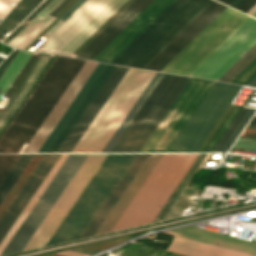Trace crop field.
I'll return each mask as SVG.
<instances>
[{
	"mask_svg": "<svg viewBox=\"0 0 256 256\" xmlns=\"http://www.w3.org/2000/svg\"><path fill=\"white\" fill-rule=\"evenodd\" d=\"M247 111H248V109H246V108H243L241 110V112L238 114V116L236 117L234 122L231 124V126L229 127V129L227 130L225 135L222 137V139L220 140L218 145L215 147L213 152H220V150L222 149V147L224 146L226 141L229 139V137L231 136V134L233 133V131L235 130V128L237 127V125L239 124V122L244 117V115L246 114Z\"/></svg>",
	"mask_w": 256,
	"mask_h": 256,
	"instance_id": "crop-field-33",
	"label": "crop field"
},
{
	"mask_svg": "<svg viewBox=\"0 0 256 256\" xmlns=\"http://www.w3.org/2000/svg\"><path fill=\"white\" fill-rule=\"evenodd\" d=\"M251 122L256 123V117H253V119L251 120Z\"/></svg>",
	"mask_w": 256,
	"mask_h": 256,
	"instance_id": "crop-field-49",
	"label": "crop field"
},
{
	"mask_svg": "<svg viewBox=\"0 0 256 256\" xmlns=\"http://www.w3.org/2000/svg\"><path fill=\"white\" fill-rule=\"evenodd\" d=\"M252 16L256 17V11L252 14Z\"/></svg>",
	"mask_w": 256,
	"mask_h": 256,
	"instance_id": "crop-field-51",
	"label": "crop field"
},
{
	"mask_svg": "<svg viewBox=\"0 0 256 256\" xmlns=\"http://www.w3.org/2000/svg\"><path fill=\"white\" fill-rule=\"evenodd\" d=\"M174 0H154L93 60L110 63L150 22Z\"/></svg>",
	"mask_w": 256,
	"mask_h": 256,
	"instance_id": "crop-field-17",
	"label": "crop field"
},
{
	"mask_svg": "<svg viewBox=\"0 0 256 256\" xmlns=\"http://www.w3.org/2000/svg\"><path fill=\"white\" fill-rule=\"evenodd\" d=\"M256 10V5L248 12V14H252Z\"/></svg>",
	"mask_w": 256,
	"mask_h": 256,
	"instance_id": "crop-field-47",
	"label": "crop field"
},
{
	"mask_svg": "<svg viewBox=\"0 0 256 256\" xmlns=\"http://www.w3.org/2000/svg\"><path fill=\"white\" fill-rule=\"evenodd\" d=\"M241 108L242 107L234 106V108L232 109L228 117L225 119V121L223 122V124L221 125V127L219 128L215 136L213 137V139L210 141V143L208 144L204 152H212L214 147L217 145V143L219 142V140L221 139L225 131L228 129V127L236 117V115L241 110Z\"/></svg>",
	"mask_w": 256,
	"mask_h": 256,
	"instance_id": "crop-field-31",
	"label": "crop field"
},
{
	"mask_svg": "<svg viewBox=\"0 0 256 256\" xmlns=\"http://www.w3.org/2000/svg\"><path fill=\"white\" fill-rule=\"evenodd\" d=\"M34 154H21L12 169L9 171L3 182L0 184V203L7 195L13 184L23 172Z\"/></svg>",
	"mask_w": 256,
	"mask_h": 256,
	"instance_id": "crop-field-28",
	"label": "crop field"
},
{
	"mask_svg": "<svg viewBox=\"0 0 256 256\" xmlns=\"http://www.w3.org/2000/svg\"><path fill=\"white\" fill-rule=\"evenodd\" d=\"M212 0H175L111 63L144 68Z\"/></svg>",
	"mask_w": 256,
	"mask_h": 256,
	"instance_id": "crop-field-4",
	"label": "crop field"
},
{
	"mask_svg": "<svg viewBox=\"0 0 256 256\" xmlns=\"http://www.w3.org/2000/svg\"><path fill=\"white\" fill-rule=\"evenodd\" d=\"M67 156H68V154H61V156L59 157V159L57 160L55 165L52 167V169L50 170V172L48 173L46 178L43 180V182L41 183V185L39 186V188L37 189V191L35 192L33 197L30 199V201L28 202V204L26 205V207L24 208L22 213L19 215V217L17 218V220L15 221V223L13 224V226L11 227L9 232L6 234V236L0 243V253L4 249V247L6 246V244L12 237V235L15 233V231L17 230V228L19 227L21 222L24 220V218L26 217V215L28 214V212L30 211L32 206L35 204L37 199L40 197V195L42 194V192L44 191L46 186L49 184V182L51 181V179L53 178V176L55 175V173L57 172V170L59 169V167L64 162V160L66 159Z\"/></svg>",
	"mask_w": 256,
	"mask_h": 256,
	"instance_id": "crop-field-26",
	"label": "crop field"
},
{
	"mask_svg": "<svg viewBox=\"0 0 256 256\" xmlns=\"http://www.w3.org/2000/svg\"><path fill=\"white\" fill-rule=\"evenodd\" d=\"M128 68L116 66L57 152H71Z\"/></svg>",
	"mask_w": 256,
	"mask_h": 256,
	"instance_id": "crop-field-18",
	"label": "crop field"
},
{
	"mask_svg": "<svg viewBox=\"0 0 256 256\" xmlns=\"http://www.w3.org/2000/svg\"><path fill=\"white\" fill-rule=\"evenodd\" d=\"M84 1L86 0H77L69 9H67L59 19L65 21L69 15H71Z\"/></svg>",
	"mask_w": 256,
	"mask_h": 256,
	"instance_id": "crop-field-38",
	"label": "crop field"
},
{
	"mask_svg": "<svg viewBox=\"0 0 256 256\" xmlns=\"http://www.w3.org/2000/svg\"><path fill=\"white\" fill-rule=\"evenodd\" d=\"M255 4L256 0H243L236 9L247 13Z\"/></svg>",
	"mask_w": 256,
	"mask_h": 256,
	"instance_id": "crop-field-39",
	"label": "crop field"
},
{
	"mask_svg": "<svg viewBox=\"0 0 256 256\" xmlns=\"http://www.w3.org/2000/svg\"><path fill=\"white\" fill-rule=\"evenodd\" d=\"M248 126L256 127V124H254V123H249V125H248Z\"/></svg>",
	"mask_w": 256,
	"mask_h": 256,
	"instance_id": "crop-field-48",
	"label": "crop field"
},
{
	"mask_svg": "<svg viewBox=\"0 0 256 256\" xmlns=\"http://www.w3.org/2000/svg\"><path fill=\"white\" fill-rule=\"evenodd\" d=\"M106 64L98 63L96 68L93 70L89 78L86 80L82 88L79 90L75 98L72 100L68 108L65 110L61 118L58 120L54 128L51 130L47 138L44 140L37 152H46L48 147L51 145L55 137L58 135L62 127L65 125L71 114L74 112L78 104L81 102L87 91L90 89L94 81L97 79L101 71L104 69ZM115 68L114 65L107 64L105 69L102 71L98 79L95 81L91 89L88 91L82 102L79 104L75 112L72 114L66 125L63 127L59 135L56 137L52 145L49 147L47 152H56L63 140L66 138L70 130L73 128L77 120L80 118L84 110L87 108L91 100L94 98L98 90L101 88L105 80L108 78L112 70Z\"/></svg>",
	"mask_w": 256,
	"mask_h": 256,
	"instance_id": "crop-field-13",
	"label": "crop field"
},
{
	"mask_svg": "<svg viewBox=\"0 0 256 256\" xmlns=\"http://www.w3.org/2000/svg\"><path fill=\"white\" fill-rule=\"evenodd\" d=\"M13 1L16 3L18 0H0V18L1 19L12 8V6L9 3Z\"/></svg>",
	"mask_w": 256,
	"mask_h": 256,
	"instance_id": "crop-field-37",
	"label": "crop field"
},
{
	"mask_svg": "<svg viewBox=\"0 0 256 256\" xmlns=\"http://www.w3.org/2000/svg\"><path fill=\"white\" fill-rule=\"evenodd\" d=\"M247 18L227 7L161 71L189 75Z\"/></svg>",
	"mask_w": 256,
	"mask_h": 256,
	"instance_id": "crop-field-10",
	"label": "crop field"
},
{
	"mask_svg": "<svg viewBox=\"0 0 256 256\" xmlns=\"http://www.w3.org/2000/svg\"><path fill=\"white\" fill-rule=\"evenodd\" d=\"M70 0H63L49 15H52V16H54L63 6H65L68 2H69ZM64 8V7H63ZM62 8V9H63ZM61 9V10H62ZM60 10V11H61ZM59 11V12H60ZM58 12V13H59Z\"/></svg>",
	"mask_w": 256,
	"mask_h": 256,
	"instance_id": "crop-field-41",
	"label": "crop field"
},
{
	"mask_svg": "<svg viewBox=\"0 0 256 256\" xmlns=\"http://www.w3.org/2000/svg\"><path fill=\"white\" fill-rule=\"evenodd\" d=\"M240 88L215 82L167 152H197Z\"/></svg>",
	"mask_w": 256,
	"mask_h": 256,
	"instance_id": "crop-field-9",
	"label": "crop field"
},
{
	"mask_svg": "<svg viewBox=\"0 0 256 256\" xmlns=\"http://www.w3.org/2000/svg\"><path fill=\"white\" fill-rule=\"evenodd\" d=\"M225 8L226 6L213 1L145 68L160 71Z\"/></svg>",
	"mask_w": 256,
	"mask_h": 256,
	"instance_id": "crop-field-15",
	"label": "crop field"
},
{
	"mask_svg": "<svg viewBox=\"0 0 256 256\" xmlns=\"http://www.w3.org/2000/svg\"><path fill=\"white\" fill-rule=\"evenodd\" d=\"M255 74L256 59L245 70H243L232 82L244 85Z\"/></svg>",
	"mask_w": 256,
	"mask_h": 256,
	"instance_id": "crop-field-35",
	"label": "crop field"
},
{
	"mask_svg": "<svg viewBox=\"0 0 256 256\" xmlns=\"http://www.w3.org/2000/svg\"><path fill=\"white\" fill-rule=\"evenodd\" d=\"M254 112H255V110L249 109V111L247 112V114L245 115L243 120L240 122V124L238 125V127L236 128V130L234 131V133L228 140V142L225 144V146L223 147L221 152H226L231 147V145L233 144L235 139L238 137V135L240 134V132L242 131V129L244 128V126L246 125V123L251 118V116L253 115Z\"/></svg>",
	"mask_w": 256,
	"mask_h": 256,
	"instance_id": "crop-field-34",
	"label": "crop field"
},
{
	"mask_svg": "<svg viewBox=\"0 0 256 256\" xmlns=\"http://www.w3.org/2000/svg\"><path fill=\"white\" fill-rule=\"evenodd\" d=\"M247 85H253V86H256V76L254 78H252L248 83Z\"/></svg>",
	"mask_w": 256,
	"mask_h": 256,
	"instance_id": "crop-field-45",
	"label": "crop field"
},
{
	"mask_svg": "<svg viewBox=\"0 0 256 256\" xmlns=\"http://www.w3.org/2000/svg\"><path fill=\"white\" fill-rule=\"evenodd\" d=\"M32 55V52L20 50L18 55L15 57L11 65L8 67V69L0 79V100L7 92L11 84L14 82V80L19 75V73Z\"/></svg>",
	"mask_w": 256,
	"mask_h": 256,
	"instance_id": "crop-field-27",
	"label": "crop field"
},
{
	"mask_svg": "<svg viewBox=\"0 0 256 256\" xmlns=\"http://www.w3.org/2000/svg\"><path fill=\"white\" fill-rule=\"evenodd\" d=\"M213 84L191 78L141 152H166Z\"/></svg>",
	"mask_w": 256,
	"mask_h": 256,
	"instance_id": "crop-field-11",
	"label": "crop field"
},
{
	"mask_svg": "<svg viewBox=\"0 0 256 256\" xmlns=\"http://www.w3.org/2000/svg\"><path fill=\"white\" fill-rule=\"evenodd\" d=\"M242 138H250V139H256V138H252V137H244V136H240Z\"/></svg>",
	"mask_w": 256,
	"mask_h": 256,
	"instance_id": "crop-field-50",
	"label": "crop field"
},
{
	"mask_svg": "<svg viewBox=\"0 0 256 256\" xmlns=\"http://www.w3.org/2000/svg\"><path fill=\"white\" fill-rule=\"evenodd\" d=\"M72 251H77V252H82V253H86V254H90V255H93V254H96L97 252H92V251H88V250H83V249H79V248H76V249H70Z\"/></svg>",
	"mask_w": 256,
	"mask_h": 256,
	"instance_id": "crop-field-43",
	"label": "crop field"
},
{
	"mask_svg": "<svg viewBox=\"0 0 256 256\" xmlns=\"http://www.w3.org/2000/svg\"><path fill=\"white\" fill-rule=\"evenodd\" d=\"M197 156L164 154L112 231L153 221Z\"/></svg>",
	"mask_w": 256,
	"mask_h": 256,
	"instance_id": "crop-field-6",
	"label": "crop field"
},
{
	"mask_svg": "<svg viewBox=\"0 0 256 256\" xmlns=\"http://www.w3.org/2000/svg\"><path fill=\"white\" fill-rule=\"evenodd\" d=\"M110 0H87L35 50L56 54ZM134 0H111L57 54L76 57Z\"/></svg>",
	"mask_w": 256,
	"mask_h": 256,
	"instance_id": "crop-field-5",
	"label": "crop field"
},
{
	"mask_svg": "<svg viewBox=\"0 0 256 256\" xmlns=\"http://www.w3.org/2000/svg\"><path fill=\"white\" fill-rule=\"evenodd\" d=\"M242 0H233L229 6L235 8Z\"/></svg>",
	"mask_w": 256,
	"mask_h": 256,
	"instance_id": "crop-field-44",
	"label": "crop field"
},
{
	"mask_svg": "<svg viewBox=\"0 0 256 256\" xmlns=\"http://www.w3.org/2000/svg\"><path fill=\"white\" fill-rule=\"evenodd\" d=\"M3 59L2 58H0V62L2 61Z\"/></svg>",
	"mask_w": 256,
	"mask_h": 256,
	"instance_id": "crop-field-52",
	"label": "crop field"
},
{
	"mask_svg": "<svg viewBox=\"0 0 256 256\" xmlns=\"http://www.w3.org/2000/svg\"><path fill=\"white\" fill-rule=\"evenodd\" d=\"M205 156H206V154H199V156L194 161V163L192 164L190 169L187 171V173L185 174V176L183 177L181 182L178 184V186L176 187L174 192L171 194V196L169 197L167 202L164 204V206L162 207V211H160V213L157 215V217L154 219V221H158V220L162 219V217L164 216V214L166 213V211L168 210V208L170 207L172 202L175 200V198L177 197V195L179 194V192L181 191V189L183 188L185 183L188 181L190 176L193 174V172L195 171V169L198 167V165L201 163V161L203 160V158Z\"/></svg>",
	"mask_w": 256,
	"mask_h": 256,
	"instance_id": "crop-field-30",
	"label": "crop field"
},
{
	"mask_svg": "<svg viewBox=\"0 0 256 256\" xmlns=\"http://www.w3.org/2000/svg\"><path fill=\"white\" fill-rule=\"evenodd\" d=\"M189 80L164 74L111 152H140Z\"/></svg>",
	"mask_w": 256,
	"mask_h": 256,
	"instance_id": "crop-field-8",
	"label": "crop field"
},
{
	"mask_svg": "<svg viewBox=\"0 0 256 256\" xmlns=\"http://www.w3.org/2000/svg\"><path fill=\"white\" fill-rule=\"evenodd\" d=\"M256 42V20L249 17L190 75L217 80Z\"/></svg>",
	"mask_w": 256,
	"mask_h": 256,
	"instance_id": "crop-field-12",
	"label": "crop field"
},
{
	"mask_svg": "<svg viewBox=\"0 0 256 256\" xmlns=\"http://www.w3.org/2000/svg\"><path fill=\"white\" fill-rule=\"evenodd\" d=\"M57 254H61V255H65V256H89V255L80 254V253H76V252H72V251H68V250L59 252Z\"/></svg>",
	"mask_w": 256,
	"mask_h": 256,
	"instance_id": "crop-field-42",
	"label": "crop field"
},
{
	"mask_svg": "<svg viewBox=\"0 0 256 256\" xmlns=\"http://www.w3.org/2000/svg\"><path fill=\"white\" fill-rule=\"evenodd\" d=\"M234 147L256 150V140L239 138Z\"/></svg>",
	"mask_w": 256,
	"mask_h": 256,
	"instance_id": "crop-field-36",
	"label": "crop field"
},
{
	"mask_svg": "<svg viewBox=\"0 0 256 256\" xmlns=\"http://www.w3.org/2000/svg\"><path fill=\"white\" fill-rule=\"evenodd\" d=\"M172 236H177L209 245H213L220 248L248 254L254 256L256 253V243L229 237L220 233L187 226L178 229L162 232Z\"/></svg>",
	"mask_w": 256,
	"mask_h": 256,
	"instance_id": "crop-field-20",
	"label": "crop field"
},
{
	"mask_svg": "<svg viewBox=\"0 0 256 256\" xmlns=\"http://www.w3.org/2000/svg\"><path fill=\"white\" fill-rule=\"evenodd\" d=\"M18 52H19V50H14V51L7 57V59L4 61V63H3L2 66L0 67V77L3 75V73L5 72V70H6L7 67L10 65V63L12 62V60L14 59V57L17 55Z\"/></svg>",
	"mask_w": 256,
	"mask_h": 256,
	"instance_id": "crop-field-40",
	"label": "crop field"
},
{
	"mask_svg": "<svg viewBox=\"0 0 256 256\" xmlns=\"http://www.w3.org/2000/svg\"><path fill=\"white\" fill-rule=\"evenodd\" d=\"M226 5H228L232 0H218Z\"/></svg>",
	"mask_w": 256,
	"mask_h": 256,
	"instance_id": "crop-field-46",
	"label": "crop field"
},
{
	"mask_svg": "<svg viewBox=\"0 0 256 256\" xmlns=\"http://www.w3.org/2000/svg\"><path fill=\"white\" fill-rule=\"evenodd\" d=\"M84 63L56 56L0 137V152H18L30 141Z\"/></svg>",
	"mask_w": 256,
	"mask_h": 256,
	"instance_id": "crop-field-3",
	"label": "crop field"
},
{
	"mask_svg": "<svg viewBox=\"0 0 256 256\" xmlns=\"http://www.w3.org/2000/svg\"><path fill=\"white\" fill-rule=\"evenodd\" d=\"M52 55L34 53L5 97L11 98L4 110L0 109V133L47 68Z\"/></svg>",
	"mask_w": 256,
	"mask_h": 256,
	"instance_id": "crop-field-14",
	"label": "crop field"
},
{
	"mask_svg": "<svg viewBox=\"0 0 256 256\" xmlns=\"http://www.w3.org/2000/svg\"><path fill=\"white\" fill-rule=\"evenodd\" d=\"M62 0H52L10 43L14 47L24 49L38 34H40L55 18L48 14Z\"/></svg>",
	"mask_w": 256,
	"mask_h": 256,
	"instance_id": "crop-field-24",
	"label": "crop field"
},
{
	"mask_svg": "<svg viewBox=\"0 0 256 256\" xmlns=\"http://www.w3.org/2000/svg\"><path fill=\"white\" fill-rule=\"evenodd\" d=\"M154 74L129 68L72 152H101Z\"/></svg>",
	"mask_w": 256,
	"mask_h": 256,
	"instance_id": "crop-field-7",
	"label": "crop field"
},
{
	"mask_svg": "<svg viewBox=\"0 0 256 256\" xmlns=\"http://www.w3.org/2000/svg\"><path fill=\"white\" fill-rule=\"evenodd\" d=\"M256 58V44L218 80L231 82Z\"/></svg>",
	"mask_w": 256,
	"mask_h": 256,
	"instance_id": "crop-field-29",
	"label": "crop field"
},
{
	"mask_svg": "<svg viewBox=\"0 0 256 256\" xmlns=\"http://www.w3.org/2000/svg\"><path fill=\"white\" fill-rule=\"evenodd\" d=\"M19 156L20 154H0V183Z\"/></svg>",
	"mask_w": 256,
	"mask_h": 256,
	"instance_id": "crop-field-32",
	"label": "crop field"
},
{
	"mask_svg": "<svg viewBox=\"0 0 256 256\" xmlns=\"http://www.w3.org/2000/svg\"><path fill=\"white\" fill-rule=\"evenodd\" d=\"M1 21V20H0Z\"/></svg>",
	"mask_w": 256,
	"mask_h": 256,
	"instance_id": "crop-field-54",
	"label": "crop field"
},
{
	"mask_svg": "<svg viewBox=\"0 0 256 256\" xmlns=\"http://www.w3.org/2000/svg\"><path fill=\"white\" fill-rule=\"evenodd\" d=\"M163 154H151L142 169L139 171L133 182L130 184L126 192L123 194L117 205L114 207L110 215L102 224L96 234L111 231L122 213L125 211L131 200L134 198L140 187L143 185L149 174L152 172Z\"/></svg>",
	"mask_w": 256,
	"mask_h": 256,
	"instance_id": "crop-field-22",
	"label": "crop field"
},
{
	"mask_svg": "<svg viewBox=\"0 0 256 256\" xmlns=\"http://www.w3.org/2000/svg\"><path fill=\"white\" fill-rule=\"evenodd\" d=\"M152 1L153 0H135L119 17H117L77 57L92 60L109 42H111Z\"/></svg>",
	"mask_w": 256,
	"mask_h": 256,
	"instance_id": "crop-field-21",
	"label": "crop field"
},
{
	"mask_svg": "<svg viewBox=\"0 0 256 256\" xmlns=\"http://www.w3.org/2000/svg\"><path fill=\"white\" fill-rule=\"evenodd\" d=\"M150 154H108L46 245L95 235Z\"/></svg>",
	"mask_w": 256,
	"mask_h": 256,
	"instance_id": "crop-field-1",
	"label": "crop field"
},
{
	"mask_svg": "<svg viewBox=\"0 0 256 256\" xmlns=\"http://www.w3.org/2000/svg\"><path fill=\"white\" fill-rule=\"evenodd\" d=\"M168 250L189 256H248L176 237Z\"/></svg>",
	"mask_w": 256,
	"mask_h": 256,
	"instance_id": "crop-field-25",
	"label": "crop field"
},
{
	"mask_svg": "<svg viewBox=\"0 0 256 256\" xmlns=\"http://www.w3.org/2000/svg\"><path fill=\"white\" fill-rule=\"evenodd\" d=\"M96 65L95 62L86 61L23 152H36Z\"/></svg>",
	"mask_w": 256,
	"mask_h": 256,
	"instance_id": "crop-field-19",
	"label": "crop field"
},
{
	"mask_svg": "<svg viewBox=\"0 0 256 256\" xmlns=\"http://www.w3.org/2000/svg\"><path fill=\"white\" fill-rule=\"evenodd\" d=\"M59 156L60 154H45L20 192L3 214L0 219V242Z\"/></svg>",
	"mask_w": 256,
	"mask_h": 256,
	"instance_id": "crop-field-16",
	"label": "crop field"
},
{
	"mask_svg": "<svg viewBox=\"0 0 256 256\" xmlns=\"http://www.w3.org/2000/svg\"><path fill=\"white\" fill-rule=\"evenodd\" d=\"M43 0H21L15 8L0 23V40L9 30H13L30 12ZM51 0H46L32 15H30L13 33L3 42L9 43Z\"/></svg>",
	"mask_w": 256,
	"mask_h": 256,
	"instance_id": "crop-field-23",
	"label": "crop field"
},
{
	"mask_svg": "<svg viewBox=\"0 0 256 256\" xmlns=\"http://www.w3.org/2000/svg\"><path fill=\"white\" fill-rule=\"evenodd\" d=\"M86 156L69 154L0 256L22 251ZM106 156L88 154L23 251L45 246Z\"/></svg>",
	"mask_w": 256,
	"mask_h": 256,
	"instance_id": "crop-field-2",
	"label": "crop field"
},
{
	"mask_svg": "<svg viewBox=\"0 0 256 256\" xmlns=\"http://www.w3.org/2000/svg\"><path fill=\"white\" fill-rule=\"evenodd\" d=\"M2 63H3V62H2ZM2 63H1V64H2ZM1 64H0V66H1Z\"/></svg>",
	"mask_w": 256,
	"mask_h": 256,
	"instance_id": "crop-field-53",
	"label": "crop field"
}]
</instances>
